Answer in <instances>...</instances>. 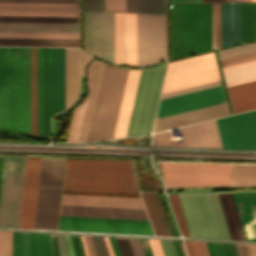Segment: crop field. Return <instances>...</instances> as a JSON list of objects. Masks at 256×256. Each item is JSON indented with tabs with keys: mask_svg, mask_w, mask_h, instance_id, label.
Instances as JSON below:
<instances>
[{
	"mask_svg": "<svg viewBox=\"0 0 256 256\" xmlns=\"http://www.w3.org/2000/svg\"><path fill=\"white\" fill-rule=\"evenodd\" d=\"M241 42V3H222V47ZM212 50L211 3H172V59Z\"/></svg>",
	"mask_w": 256,
	"mask_h": 256,
	"instance_id": "obj_1",
	"label": "crop field"
},
{
	"mask_svg": "<svg viewBox=\"0 0 256 256\" xmlns=\"http://www.w3.org/2000/svg\"><path fill=\"white\" fill-rule=\"evenodd\" d=\"M0 129L30 134V47H0Z\"/></svg>",
	"mask_w": 256,
	"mask_h": 256,
	"instance_id": "obj_2",
	"label": "crop field"
},
{
	"mask_svg": "<svg viewBox=\"0 0 256 256\" xmlns=\"http://www.w3.org/2000/svg\"><path fill=\"white\" fill-rule=\"evenodd\" d=\"M63 188L138 192L131 161L66 159Z\"/></svg>",
	"mask_w": 256,
	"mask_h": 256,
	"instance_id": "obj_3",
	"label": "crop field"
},
{
	"mask_svg": "<svg viewBox=\"0 0 256 256\" xmlns=\"http://www.w3.org/2000/svg\"><path fill=\"white\" fill-rule=\"evenodd\" d=\"M127 72L105 64L87 141L112 138Z\"/></svg>",
	"mask_w": 256,
	"mask_h": 256,
	"instance_id": "obj_4",
	"label": "crop field"
},
{
	"mask_svg": "<svg viewBox=\"0 0 256 256\" xmlns=\"http://www.w3.org/2000/svg\"><path fill=\"white\" fill-rule=\"evenodd\" d=\"M178 196L191 237L231 239L217 193Z\"/></svg>",
	"mask_w": 256,
	"mask_h": 256,
	"instance_id": "obj_5",
	"label": "crop field"
},
{
	"mask_svg": "<svg viewBox=\"0 0 256 256\" xmlns=\"http://www.w3.org/2000/svg\"><path fill=\"white\" fill-rule=\"evenodd\" d=\"M63 164L41 158L34 229L57 230Z\"/></svg>",
	"mask_w": 256,
	"mask_h": 256,
	"instance_id": "obj_6",
	"label": "crop field"
},
{
	"mask_svg": "<svg viewBox=\"0 0 256 256\" xmlns=\"http://www.w3.org/2000/svg\"><path fill=\"white\" fill-rule=\"evenodd\" d=\"M166 187L231 185L232 164L160 162Z\"/></svg>",
	"mask_w": 256,
	"mask_h": 256,
	"instance_id": "obj_7",
	"label": "crop field"
},
{
	"mask_svg": "<svg viewBox=\"0 0 256 256\" xmlns=\"http://www.w3.org/2000/svg\"><path fill=\"white\" fill-rule=\"evenodd\" d=\"M166 66L142 70L126 136L150 133Z\"/></svg>",
	"mask_w": 256,
	"mask_h": 256,
	"instance_id": "obj_8",
	"label": "crop field"
},
{
	"mask_svg": "<svg viewBox=\"0 0 256 256\" xmlns=\"http://www.w3.org/2000/svg\"><path fill=\"white\" fill-rule=\"evenodd\" d=\"M0 21L78 23V4L0 3Z\"/></svg>",
	"mask_w": 256,
	"mask_h": 256,
	"instance_id": "obj_9",
	"label": "crop field"
},
{
	"mask_svg": "<svg viewBox=\"0 0 256 256\" xmlns=\"http://www.w3.org/2000/svg\"><path fill=\"white\" fill-rule=\"evenodd\" d=\"M26 158L5 157L0 227L18 228Z\"/></svg>",
	"mask_w": 256,
	"mask_h": 256,
	"instance_id": "obj_10",
	"label": "crop field"
},
{
	"mask_svg": "<svg viewBox=\"0 0 256 256\" xmlns=\"http://www.w3.org/2000/svg\"><path fill=\"white\" fill-rule=\"evenodd\" d=\"M166 60V15L137 14V66Z\"/></svg>",
	"mask_w": 256,
	"mask_h": 256,
	"instance_id": "obj_11",
	"label": "crop field"
},
{
	"mask_svg": "<svg viewBox=\"0 0 256 256\" xmlns=\"http://www.w3.org/2000/svg\"><path fill=\"white\" fill-rule=\"evenodd\" d=\"M84 51L114 62V13L84 12Z\"/></svg>",
	"mask_w": 256,
	"mask_h": 256,
	"instance_id": "obj_12",
	"label": "crop field"
},
{
	"mask_svg": "<svg viewBox=\"0 0 256 256\" xmlns=\"http://www.w3.org/2000/svg\"><path fill=\"white\" fill-rule=\"evenodd\" d=\"M59 230L153 235L148 221L60 216Z\"/></svg>",
	"mask_w": 256,
	"mask_h": 256,
	"instance_id": "obj_13",
	"label": "crop field"
},
{
	"mask_svg": "<svg viewBox=\"0 0 256 256\" xmlns=\"http://www.w3.org/2000/svg\"><path fill=\"white\" fill-rule=\"evenodd\" d=\"M216 122L223 148H256V110Z\"/></svg>",
	"mask_w": 256,
	"mask_h": 256,
	"instance_id": "obj_14",
	"label": "crop field"
},
{
	"mask_svg": "<svg viewBox=\"0 0 256 256\" xmlns=\"http://www.w3.org/2000/svg\"><path fill=\"white\" fill-rule=\"evenodd\" d=\"M104 63L94 60L88 67L90 93L85 102L74 110L67 142H84L87 139Z\"/></svg>",
	"mask_w": 256,
	"mask_h": 256,
	"instance_id": "obj_15",
	"label": "crop field"
},
{
	"mask_svg": "<svg viewBox=\"0 0 256 256\" xmlns=\"http://www.w3.org/2000/svg\"><path fill=\"white\" fill-rule=\"evenodd\" d=\"M183 142H172L169 131L154 134L156 146L222 148L215 120L180 128Z\"/></svg>",
	"mask_w": 256,
	"mask_h": 256,
	"instance_id": "obj_16",
	"label": "crop field"
},
{
	"mask_svg": "<svg viewBox=\"0 0 256 256\" xmlns=\"http://www.w3.org/2000/svg\"><path fill=\"white\" fill-rule=\"evenodd\" d=\"M223 102V91L219 85L161 100L156 118Z\"/></svg>",
	"mask_w": 256,
	"mask_h": 256,
	"instance_id": "obj_17",
	"label": "crop field"
},
{
	"mask_svg": "<svg viewBox=\"0 0 256 256\" xmlns=\"http://www.w3.org/2000/svg\"><path fill=\"white\" fill-rule=\"evenodd\" d=\"M38 136L50 134V48H37Z\"/></svg>",
	"mask_w": 256,
	"mask_h": 256,
	"instance_id": "obj_18",
	"label": "crop field"
},
{
	"mask_svg": "<svg viewBox=\"0 0 256 256\" xmlns=\"http://www.w3.org/2000/svg\"><path fill=\"white\" fill-rule=\"evenodd\" d=\"M115 63L136 66L135 14L115 13Z\"/></svg>",
	"mask_w": 256,
	"mask_h": 256,
	"instance_id": "obj_19",
	"label": "crop field"
},
{
	"mask_svg": "<svg viewBox=\"0 0 256 256\" xmlns=\"http://www.w3.org/2000/svg\"><path fill=\"white\" fill-rule=\"evenodd\" d=\"M40 158H27L19 228L33 229Z\"/></svg>",
	"mask_w": 256,
	"mask_h": 256,
	"instance_id": "obj_20",
	"label": "crop field"
},
{
	"mask_svg": "<svg viewBox=\"0 0 256 256\" xmlns=\"http://www.w3.org/2000/svg\"><path fill=\"white\" fill-rule=\"evenodd\" d=\"M228 115L226 104H219L180 114L158 118L155 121L154 132L170 129L182 125L200 122L212 118Z\"/></svg>",
	"mask_w": 256,
	"mask_h": 256,
	"instance_id": "obj_21",
	"label": "crop field"
},
{
	"mask_svg": "<svg viewBox=\"0 0 256 256\" xmlns=\"http://www.w3.org/2000/svg\"><path fill=\"white\" fill-rule=\"evenodd\" d=\"M64 108V50L51 48V116Z\"/></svg>",
	"mask_w": 256,
	"mask_h": 256,
	"instance_id": "obj_22",
	"label": "crop field"
},
{
	"mask_svg": "<svg viewBox=\"0 0 256 256\" xmlns=\"http://www.w3.org/2000/svg\"><path fill=\"white\" fill-rule=\"evenodd\" d=\"M60 215L148 220L144 210L61 205Z\"/></svg>",
	"mask_w": 256,
	"mask_h": 256,
	"instance_id": "obj_23",
	"label": "crop field"
},
{
	"mask_svg": "<svg viewBox=\"0 0 256 256\" xmlns=\"http://www.w3.org/2000/svg\"><path fill=\"white\" fill-rule=\"evenodd\" d=\"M246 240H256V192L232 193Z\"/></svg>",
	"mask_w": 256,
	"mask_h": 256,
	"instance_id": "obj_24",
	"label": "crop field"
},
{
	"mask_svg": "<svg viewBox=\"0 0 256 256\" xmlns=\"http://www.w3.org/2000/svg\"><path fill=\"white\" fill-rule=\"evenodd\" d=\"M139 71L129 70L113 138L125 136L140 76Z\"/></svg>",
	"mask_w": 256,
	"mask_h": 256,
	"instance_id": "obj_25",
	"label": "crop field"
},
{
	"mask_svg": "<svg viewBox=\"0 0 256 256\" xmlns=\"http://www.w3.org/2000/svg\"><path fill=\"white\" fill-rule=\"evenodd\" d=\"M61 204L144 209L140 199L63 195Z\"/></svg>",
	"mask_w": 256,
	"mask_h": 256,
	"instance_id": "obj_26",
	"label": "crop field"
},
{
	"mask_svg": "<svg viewBox=\"0 0 256 256\" xmlns=\"http://www.w3.org/2000/svg\"><path fill=\"white\" fill-rule=\"evenodd\" d=\"M215 67L217 66L213 53L172 62L169 63L165 80Z\"/></svg>",
	"mask_w": 256,
	"mask_h": 256,
	"instance_id": "obj_27",
	"label": "crop field"
},
{
	"mask_svg": "<svg viewBox=\"0 0 256 256\" xmlns=\"http://www.w3.org/2000/svg\"><path fill=\"white\" fill-rule=\"evenodd\" d=\"M233 113L256 108V81L227 88Z\"/></svg>",
	"mask_w": 256,
	"mask_h": 256,
	"instance_id": "obj_28",
	"label": "crop field"
},
{
	"mask_svg": "<svg viewBox=\"0 0 256 256\" xmlns=\"http://www.w3.org/2000/svg\"><path fill=\"white\" fill-rule=\"evenodd\" d=\"M222 68L227 87L256 80V59Z\"/></svg>",
	"mask_w": 256,
	"mask_h": 256,
	"instance_id": "obj_29",
	"label": "crop field"
},
{
	"mask_svg": "<svg viewBox=\"0 0 256 256\" xmlns=\"http://www.w3.org/2000/svg\"><path fill=\"white\" fill-rule=\"evenodd\" d=\"M0 31L78 32V24L0 22Z\"/></svg>",
	"mask_w": 256,
	"mask_h": 256,
	"instance_id": "obj_30",
	"label": "crop field"
},
{
	"mask_svg": "<svg viewBox=\"0 0 256 256\" xmlns=\"http://www.w3.org/2000/svg\"><path fill=\"white\" fill-rule=\"evenodd\" d=\"M232 239L245 240L231 193H218Z\"/></svg>",
	"mask_w": 256,
	"mask_h": 256,
	"instance_id": "obj_31",
	"label": "crop field"
},
{
	"mask_svg": "<svg viewBox=\"0 0 256 256\" xmlns=\"http://www.w3.org/2000/svg\"><path fill=\"white\" fill-rule=\"evenodd\" d=\"M154 233L170 236L154 193L141 192Z\"/></svg>",
	"mask_w": 256,
	"mask_h": 256,
	"instance_id": "obj_32",
	"label": "crop field"
},
{
	"mask_svg": "<svg viewBox=\"0 0 256 256\" xmlns=\"http://www.w3.org/2000/svg\"><path fill=\"white\" fill-rule=\"evenodd\" d=\"M0 45L78 46V39L0 38Z\"/></svg>",
	"mask_w": 256,
	"mask_h": 256,
	"instance_id": "obj_33",
	"label": "crop field"
},
{
	"mask_svg": "<svg viewBox=\"0 0 256 256\" xmlns=\"http://www.w3.org/2000/svg\"><path fill=\"white\" fill-rule=\"evenodd\" d=\"M31 134L37 136L36 48L31 47Z\"/></svg>",
	"mask_w": 256,
	"mask_h": 256,
	"instance_id": "obj_34",
	"label": "crop field"
},
{
	"mask_svg": "<svg viewBox=\"0 0 256 256\" xmlns=\"http://www.w3.org/2000/svg\"><path fill=\"white\" fill-rule=\"evenodd\" d=\"M32 256H53L50 234L30 233Z\"/></svg>",
	"mask_w": 256,
	"mask_h": 256,
	"instance_id": "obj_35",
	"label": "crop field"
},
{
	"mask_svg": "<svg viewBox=\"0 0 256 256\" xmlns=\"http://www.w3.org/2000/svg\"><path fill=\"white\" fill-rule=\"evenodd\" d=\"M234 185H256V165L235 164Z\"/></svg>",
	"mask_w": 256,
	"mask_h": 256,
	"instance_id": "obj_36",
	"label": "crop field"
},
{
	"mask_svg": "<svg viewBox=\"0 0 256 256\" xmlns=\"http://www.w3.org/2000/svg\"><path fill=\"white\" fill-rule=\"evenodd\" d=\"M217 76H219V74H218L217 68H215V69H211V70H207V71H203V72L167 80L164 83L163 89L173 87V86L182 85V84H187V83H191V82H195V81H200V80H204V79H209V78H213V77H217Z\"/></svg>",
	"mask_w": 256,
	"mask_h": 256,
	"instance_id": "obj_37",
	"label": "crop field"
},
{
	"mask_svg": "<svg viewBox=\"0 0 256 256\" xmlns=\"http://www.w3.org/2000/svg\"><path fill=\"white\" fill-rule=\"evenodd\" d=\"M0 37L78 38V33L0 32Z\"/></svg>",
	"mask_w": 256,
	"mask_h": 256,
	"instance_id": "obj_38",
	"label": "crop field"
},
{
	"mask_svg": "<svg viewBox=\"0 0 256 256\" xmlns=\"http://www.w3.org/2000/svg\"><path fill=\"white\" fill-rule=\"evenodd\" d=\"M252 40V3H242V42Z\"/></svg>",
	"mask_w": 256,
	"mask_h": 256,
	"instance_id": "obj_39",
	"label": "crop field"
},
{
	"mask_svg": "<svg viewBox=\"0 0 256 256\" xmlns=\"http://www.w3.org/2000/svg\"><path fill=\"white\" fill-rule=\"evenodd\" d=\"M63 194L140 198L138 193L63 189Z\"/></svg>",
	"mask_w": 256,
	"mask_h": 256,
	"instance_id": "obj_40",
	"label": "crop field"
},
{
	"mask_svg": "<svg viewBox=\"0 0 256 256\" xmlns=\"http://www.w3.org/2000/svg\"><path fill=\"white\" fill-rule=\"evenodd\" d=\"M139 12L166 13V0H139Z\"/></svg>",
	"mask_w": 256,
	"mask_h": 256,
	"instance_id": "obj_41",
	"label": "crop field"
},
{
	"mask_svg": "<svg viewBox=\"0 0 256 256\" xmlns=\"http://www.w3.org/2000/svg\"><path fill=\"white\" fill-rule=\"evenodd\" d=\"M252 52H256V43L222 50V51H219V54H220L221 60H223V59L244 55Z\"/></svg>",
	"mask_w": 256,
	"mask_h": 256,
	"instance_id": "obj_42",
	"label": "crop field"
},
{
	"mask_svg": "<svg viewBox=\"0 0 256 256\" xmlns=\"http://www.w3.org/2000/svg\"><path fill=\"white\" fill-rule=\"evenodd\" d=\"M183 236L190 237L177 195H168Z\"/></svg>",
	"mask_w": 256,
	"mask_h": 256,
	"instance_id": "obj_43",
	"label": "crop field"
},
{
	"mask_svg": "<svg viewBox=\"0 0 256 256\" xmlns=\"http://www.w3.org/2000/svg\"><path fill=\"white\" fill-rule=\"evenodd\" d=\"M12 232L0 231V256H11Z\"/></svg>",
	"mask_w": 256,
	"mask_h": 256,
	"instance_id": "obj_44",
	"label": "crop field"
},
{
	"mask_svg": "<svg viewBox=\"0 0 256 256\" xmlns=\"http://www.w3.org/2000/svg\"><path fill=\"white\" fill-rule=\"evenodd\" d=\"M219 84H221L220 80L202 84V85L189 87V88H185V89H180V90H176V91H172V92H168V93H164V94H162L161 99L179 95V94H183V93H187V92H191V91H195V90H199V89H203V88H207V87H211V86H215V85H219Z\"/></svg>",
	"mask_w": 256,
	"mask_h": 256,
	"instance_id": "obj_45",
	"label": "crop field"
},
{
	"mask_svg": "<svg viewBox=\"0 0 256 256\" xmlns=\"http://www.w3.org/2000/svg\"><path fill=\"white\" fill-rule=\"evenodd\" d=\"M104 11L125 12V0H104Z\"/></svg>",
	"mask_w": 256,
	"mask_h": 256,
	"instance_id": "obj_46",
	"label": "crop field"
},
{
	"mask_svg": "<svg viewBox=\"0 0 256 256\" xmlns=\"http://www.w3.org/2000/svg\"><path fill=\"white\" fill-rule=\"evenodd\" d=\"M92 237L94 248L97 256H109L105 241L103 237Z\"/></svg>",
	"mask_w": 256,
	"mask_h": 256,
	"instance_id": "obj_47",
	"label": "crop field"
},
{
	"mask_svg": "<svg viewBox=\"0 0 256 256\" xmlns=\"http://www.w3.org/2000/svg\"><path fill=\"white\" fill-rule=\"evenodd\" d=\"M122 256H134L129 239L128 238H116Z\"/></svg>",
	"mask_w": 256,
	"mask_h": 256,
	"instance_id": "obj_48",
	"label": "crop field"
},
{
	"mask_svg": "<svg viewBox=\"0 0 256 256\" xmlns=\"http://www.w3.org/2000/svg\"><path fill=\"white\" fill-rule=\"evenodd\" d=\"M84 10L103 11V0H84Z\"/></svg>",
	"mask_w": 256,
	"mask_h": 256,
	"instance_id": "obj_49",
	"label": "crop field"
},
{
	"mask_svg": "<svg viewBox=\"0 0 256 256\" xmlns=\"http://www.w3.org/2000/svg\"><path fill=\"white\" fill-rule=\"evenodd\" d=\"M22 256H31L29 233L21 232Z\"/></svg>",
	"mask_w": 256,
	"mask_h": 256,
	"instance_id": "obj_50",
	"label": "crop field"
},
{
	"mask_svg": "<svg viewBox=\"0 0 256 256\" xmlns=\"http://www.w3.org/2000/svg\"><path fill=\"white\" fill-rule=\"evenodd\" d=\"M164 256H176L173 244L171 240H159Z\"/></svg>",
	"mask_w": 256,
	"mask_h": 256,
	"instance_id": "obj_51",
	"label": "crop field"
},
{
	"mask_svg": "<svg viewBox=\"0 0 256 256\" xmlns=\"http://www.w3.org/2000/svg\"><path fill=\"white\" fill-rule=\"evenodd\" d=\"M253 58H256V53L223 60V61H221V64H222V66H224V65H228V64H232V63H236V62H240V61H245V60H249V59H253Z\"/></svg>",
	"mask_w": 256,
	"mask_h": 256,
	"instance_id": "obj_52",
	"label": "crop field"
},
{
	"mask_svg": "<svg viewBox=\"0 0 256 256\" xmlns=\"http://www.w3.org/2000/svg\"><path fill=\"white\" fill-rule=\"evenodd\" d=\"M13 256H21L20 232H13Z\"/></svg>",
	"mask_w": 256,
	"mask_h": 256,
	"instance_id": "obj_53",
	"label": "crop field"
},
{
	"mask_svg": "<svg viewBox=\"0 0 256 256\" xmlns=\"http://www.w3.org/2000/svg\"><path fill=\"white\" fill-rule=\"evenodd\" d=\"M71 237H72L75 256H84L81 241H80V237L75 236V235H71Z\"/></svg>",
	"mask_w": 256,
	"mask_h": 256,
	"instance_id": "obj_54",
	"label": "crop field"
},
{
	"mask_svg": "<svg viewBox=\"0 0 256 256\" xmlns=\"http://www.w3.org/2000/svg\"><path fill=\"white\" fill-rule=\"evenodd\" d=\"M60 256H68L64 235L56 234Z\"/></svg>",
	"mask_w": 256,
	"mask_h": 256,
	"instance_id": "obj_55",
	"label": "crop field"
},
{
	"mask_svg": "<svg viewBox=\"0 0 256 256\" xmlns=\"http://www.w3.org/2000/svg\"><path fill=\"white\" fill-rule=\"evenodd\" d=\"M130 242H131L135 256H144L140 240L139 239H130Z\"/></svg>",
	"mask_w": 256,
	"mask_h": 256,
	"instance_id": "obj_56",
	"label": "crop field"
},
{
	"mask_svg": "<svg viewBox=\"0 0 256 256\" xmlns=\"http://www.w3.org/2000/svg\"><path fill=\"white\" fill-rule=\"evenodd\" d=\"M148 240H149L153 255L154 256H163L159 241L156 239H148Z\"/></svg>",
	"mask_w": 256,
	"mask_h": 256,
	"instance_id": "obj_57",
	"label": "crop field"
},
{
	"mask_svg": "<svg viewBox=\"0 0 256 256\" xmlns=\"http://www.w3.org/2000/svg\"><path fill=\"white\" fill-rule=\"evenodd\" d=\"M92 60V57L88 56L81 50V78L84 77L86 65Z\"/></svg>",
	"mask_w": 256,
	"mask_h": 256,
	"instance_id": "obj_58",
	"label": "crop field"
},
{
	"mask_svg": "<svg viewBox=\"0 0 256 256\" xmlns=\"http://www.w3.org/2000/svg\"><path fill=\"white\" fill-rule=\"evenodd\" d=\"M222 244H223L225 256H238L234 244H226V243H222Z\"/></svg>",
	"mask_w": 256,
	"mask_h": 256,
	"instance_id": "obj_59",
	"label": "crop field"
},
{
	"mask_svg": "<svg viewBox=\"0 0 256 256\" xmlns=\"http://www.w3.org/2000/svg\"><path fill=\"white\" fill-rule=\"evenodd\" d=\"M126 12H138V0H126Z\"/></svg>",
	"mask_w": 256,
	"mask_h": 256,
	"instance_id": "obj_60",
	"label": "crop field"
},
{
	"mask_svg": "<svg viewBox=\"0 0 256 256\" xmlns=\"http://www.w3.org/2000/svg\"><path fill=\"white\" fill-rule=\"evenodd\" d=\"M220 79L219 77L163 90L162 93Z\"/></svg>",
	"mask_w": 256,
	"mask_h": 256,
	"instance_id": "obj_61",
	"label": "crop field"
},
{
	"mask_svg": "<svg viewBox=\"0 0 256 256\" xmlns=\"http://www.w3.org/2000/svg\"><path fill=\"white\" fill-rule=\"evenodd\" d=\"M242 245L244 256H256V250L254 245Z\"/></svg>",
	"mask_w": 256,
	"mask_h": 256,
	"instance_id": "obj_62",
	"label": "crop field"
},
{
	"mask_svg": "<svg viewBox=\"0 0 256 256\" xmlns=\"http://www.w3.org/2000/svg\"><path fill=\"white\" fill-rule=\"evenodd\" d=\"M199 256H209L205 242H195Z\"/></svg>",
	"mask_w": 256,
	"mask_h": 256,
	"instance_id": "obj_63",
	"label": "crop field"
},
{
	"mask_svg": "<svg viewBox=\"0 0 256 256\" xmlns=\"http://www.w3.org/2000/svg\"><path fill=\"white\" fill-rule=\"evenodd\" d=\"M115 256H121L116 239L108 237Z\"/></svg>",
	"mask_w": 256,
	"mask_h": 256,
	"instance_id": "obj_64",
	"label": "crop field"
},
{
	"mask_svg": "<svg viewBox=\"0 0 256 256\" xmlns=\"http://www.w3.org/2000/svg\"><path fill=\"white\" fill-rule=\"evenodd\" d=\"M140 240H141L145 255L146 256H153L152 252H151V249H150V246H149V243H148V240L147 239H140Z\"/></svg>",
	"mask_w": 256,
	"mask_h": 256,
	"instance_id": "obj_65",
	"label": "crop field"
},
{
	"mask_svg": "<svg viewBox=\"0 0 256 256\" xmlns=\"http://www.w3.org/2000/svg\"><path fill=\"white\" fill-rule=\"evenodd\" d=\"M216 256H224L223 248L221 243H212Z\"/></svg>",
	"mask_w": 256,
	"mask_h": 256,
	"instance_id": "obj_66",
	"label": "crop field"
},
{
	"mask_svg": "<svg viewBox=\"0 0 256 256\" xmlns=\"http://www.w3.org/2000/svg\"><path fill=\"white\" fill-rule=\"evenodd\" d=\"M256 39V3H253V40Z\"/></svg>",
	"mask_w": 256,
	"mask_h": 256,
	"instance_id": "obj_67",
	"label": "crop field"
},
{
	"mask_svg": "<svg viewBox=\"0 0 256 256\" xmlns=\"http://www.w3.org/2000/svg\"><path fill=\"white\" fill-rule=\"evenodd\" d=\"M65 237H66V242H67V248H68L69 256H74L72 242H71V237H70V235H65Z\"/></svg>",
	"mask_w": 256,
	"mask_h": 256,
	"instance_id": "obj_68",
	"label": "crop field"
},
{
	"mask_svg": "<svg viewBox=\"0 0 256 256\" xmlns=\"http://www.w3.org/2000/svg\"><path fill=\"white\" fill-rule=\"evenodd\" d=\"M85 237H86V241H87L90 256H96L94 248H93V244H92V241H91V237L90 236H85Z\"/></svg>",
	"mask_w": 256,
	"mask_h": 256,
	"instance_id": "obj_69",
	"label": "crop field"
},
{
	"mask_svg": "<svg viewBox=\"0 0 256 256\" xmlns=\"http://www.w3.org/2000/svg\"><path fill=\"white\" fill-rule=\"evenodd\" d=\"M51 238H52L53 254L54 256H59L55 234H51Z\"/></svg>",
	"mask_w": 256,
	"mask_h": 256,
	"instance_id": "obj_70",
	"label": "crop field"
},
{
	"mask_svg": "<svg viewBox=\"0 0 256 256\" xmlns=\"http://www.w3.org/2000/svg\"><path fill=\"white\" fill-rule=\"evenodd\" d=\"M80 237H81V241H82V244H83L85 255L89 256L87 245H86V241H85V237L84 236H80Z\"/></svg>",
	"mask_w": 256,
	"mask_h": 256,
	"instance_id": "obj_71",
	"label": "crop field"
},
{
	"mask_svg": "<svg viewBox=\"0 0 256 256\" xmlns=\"http://www.w3.org/2000/svg\"><path fill=\"white\" fill-rule=\"evenodd\" d=\"M173 241V244H174V247H175V250H176V253H177V256H182V253L180 251V248H179V245H178V242L177 241Z\"/></svg>",
	"mask_w": 256,
	"mask_h": 256,
	"instance_id": "obj_72",
	"label": "crop field"
},
{
	"mask_svg": "<svg viewBox=\"0 0 256 256\" xmlns=\"http://www.w3.org/2000/svg\"><path fill=\"white\" fill-rule=\"evenodd\" d=\"M3 161H4V157H0V188H1V179H2Z\"/></svg>",
	"mask_w": 256,
	"mask_h": 256,
	"instance_id": "obj_73",
	"label": "crop field"
},
{
	"mask_svg": "<svg viewBox=\"0 0 256 256\" xmlns=\"http://www.w3.org/2000/svg\"><path fill=\"white\" fill-rule=\"evenodd\" d=\"M190 242V246H191V249H192V253H193V256H198V253H197V250H196V247H195V243L194 242Z\"/></svg>",
	"mask_w": 256,
	"mask_h": 256,
	"instance_id": "obj_74",
	"label": "crop field"
},
{
	"mask_svg": "<svg viewBox=\"0 0 256 256\" xmlns=\"http://www.w3.org/2000/svg\"><path fill=\"white\" fill-rule=\"evenodd\" d=\"M206 243H207L209 255H210V256H215V255H214V252H213L212 244H211V243H208V242H206Z\"/></svg>",
	"mask_w": 256,
	"mask_h": 256,
	"instance_id": "obj_75",
	"label": "crop field"
},
{
	"mask_svg": "<svg viewBox=\"0 0 256 256\" xmlns=\"http://www.w3.org/2000/svg\"><path fill=\"white\" fill-rule=\"evenodd\" d=\"M104 238H105V241H106V244H107V247H108L110 256H114V255H113V252H112V249H111V246H110V244H109L108 238H107V237H104Z\"/></svg>",
	"mask_w": 256,
	"mask_h": 256,
	"instance_id": "obj_76",
	"label": "crop field"
},
{
	"mask_svg": "<svg viewBox=\"0 0 256 256\" xmlns=\"http://www.w3.org/2000/svg\"><path fill=\"white\" fill-rule=\"evenodd\" d=\"M164 196H165L166 202H167V204H168V207H169V210H170L171 216H172V218H173V221H174V224H175L176 230H177V232H178V235L180 236L179 231H178V228H177L176 223H175V220H174V217H173V214H172V212H171V209H170L169 203H168V201H167L166 195L164 194Z\"/></svg>",
	"mask_w": 256,
	"mask_h": 256,
	"instance_id": "obj_77",
	"label": "crop field"
},
{
	"mask_svg": "<svg viewBox=\"0 0 256 256\" xmlns=\"http://www.w3.org/2000/svg\"><path fill=\"white\" fill-rule=\"evenodd\" d=\"M235 245H236V249H237L238 255L239 256H243L241 245L240 244H235Z\"/></svg>",
	"mask_w": 256,
	"mask_h": 256,
	"instance_id": "obj_78",
	"label": "crop field"
},
{
	"mask_svg": "<svg viewBox=\"0 0 256 256\" xmlns=\"http://www.w3.org/2000/svg\"><path fill=\"white\" fill-rule=\"evenodd\" d=\"M0 133H4V134H14V133H9V132H5V131H0ZM23 136H25V135H23ZM25 137L36 138V137H31V136H25ZM38 139H48V137H41V138H38Z\"/></svg>",
	"mask_w": 256,
	"mask_h": 256,
	"instance_id": "obj_79",
	"label": "crop field"
},
{
	"mask_svg": "<svg viewBox=\"0 0 256 256\" xmlns=\"http://www.w3.org/2000/svg\"><path fill=\"white\" fill-rule=\"evenodd\" d=\"M172 2H196V0H172Z\"/></svg>",
	"mask_w": 256,
	"mask_h": 256,
	"instance_id": "obj_80",
	"label": "crop field"
},
{
	"mask_svg": "<svg viewBox=\"0 0 256 256\" xmlns=\"http://www.w3.org/2000/svg\"><path fill=\"white\" fill-rule=\"evenodd\" d=\"M185 242H186V245H187V248H188L189 255L192 256L191 249H190V246H189V242L188 241H185Z\"/></svg>",
	"mask_w": 256,
	"mask_h": 256,
	"instance_id": "obj_81",
	"label": "crop field"
},
{
	"mask_svg": "<svg viewBox=\"0 0 256 256\" xmlns=\"http://www.w3.org/2000/svg\"><path fill=\"white\" fill-rule=\"evenodd\" d=\"M227 1H256V0H227Z\"/></svg>",
	"mask_w": 256,
	"mask_h": 256,
	"instance_id": "obj_82",
	"label": "crop field"
},
{
	"mask_svg": "<svg viewBox=\"0 0 256 256\" xmlns=\"http://www.w3.org/2000/svg\"><path fill=\"white\" fill-rule=\"evenodd\" d=\"M181 246H182V249H183L184 255H185V256H187V255H186V252H185V249H184V246H183V245H181Z\"/></svg>",
	"mask_w": 256,
	"mask_h": 256,
	"instance_id": "obj_83",
	"label": "crop field"
},
{
	"mask_svg": "<svg viewBox=\"0 0 256 256\" xmlns=\"http://www.w3.org/2000/svg\"><path fill=\"white\" fill-rule=\"evenodd\" d=\"M256 246V245H255Z\"/></svg>",
	"mask_w": 256,
	"mask_h": 256,
	"instance_id": "obj_84",
	"label": "crop field"
}]
</instances>
